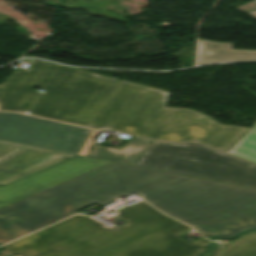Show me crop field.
<instances>
[{
    "label": "crop field",
    "instance_id": "7",
    "mask_svg": "<svg viewBox=\"0 0 256 256\" xmlns=\"http://www.w3.org/2000/svg\"><path fill=\"white\" fill-rule=\"evenodd\" d=\"M108 162L109 161L76 156L51 168L21 179L9 186L0 187V208Z\"/></svg>",
    "mask_w": 256,
    "mask_h": 256
},
{
    "label": "crop field",
    "instance_id": "12",
    "mask_svg": "<svg viewBox=\"0 0 256 256\" xmlns=\"http://www.w3.org/2000/svg\"><path fill=\"white\" fill-rule=\"evenodd\" d=\"M220 256H256V232L238 238Z\"/></svg>",
    "mask_w": 256,
    "mask_h": 256
},
{
    "label": "crop field",
    "instance_id": "10",
    "mask_svg": "<svg viewBox=\"0 0 256 256\" xmlns=\"http://www.w3.org/2000/svg\"><path fill=\"white\" fill-rule=\"evenodd\" d=\"M150 142L132 137L121 150L94 145L88 156L133 165Z\"/></svg>",
    "mask_w": 256,
    "mask_h": 256
},
{
    "label": "crop field",
    "instance_id": "5",
    "mask_svg": "<svg viewBox=\"0 0 256 256\" xmlns=\"http://www.w3.org/2000/svg\"><path fill=\"white\" fill-rule=\"evenodd\" d=\"M134 165L256 189V165L196 143L152 141Z\"/></svg>",
    "mask_w": 256,
    "mask_h": 256
},
{
    "label": "crop field",
    "instance_id": "11",
    "mask_svg": "<svg viewBox=\"0 0 256 256\" xmlns=\"http://www.w3.org/2000/svg\"><path fill=\"white\" fill-rule=\"evenodd\" d=\"M227 153L256 163V124L242 135Z\"/></svg>",
    "mask_w": 256,
    "mask_h": 256
},
{
    "label": "crop field",
    "instance_id": "15",
    "mask_svg": "<svg viewBox=\"0 0 256 256\" xmlns=\"http://www.w3.org/2000/svg\"><path fill=\"white\" fill-rule=\"evenodd\" d=\"M253 2H255V3H256V0H253ZM245 14H247V15H249V14H253V16H251V17H253V18H255V19H256V11H254V12H247V13H245Z\"/></svg>",
    "mask_w": 256,
    "mask_h": 256
},
{
    "label": "crop field",
    "instance_id": "13",
    "mask_svg": "<svg viewBox=\"0 0 256 256\" xmlns=\"http://www.w3.org/2000/svg\"><path fill=\"white\" fill-rule=\"evenodd\" d=\"M232 243L233 242L216 241L214 243V249L211 252L206 253L205 256H218Z\"/></svg>",
    "mask_w": 256,
    "mask_h": 256
},
{
    "label": "crop field",
    "instance_id": "9",
    "mask_svg": "<svg viewBox=\"0 0 256 256\" xmlns=\"http://www.w3.org/2000/svg\"><path fill=\"white\" fill-rule=\"evenodd\" d=\"M256 60V51L233 50L232 43L199 40L198 64Z\"/></svg>",
    "mask_w": 256,
    "mask_h": 256
},
{
    "label": "crop field",
    "instance_id": "6",
    "mask_svg": "<svg viewBox=\"0 0 256 256\" xmlns=\"http://www.w3.org/2000/svg\"><path fill=\"white\" fill-rule=\"evenodd\" d=\"M91 130L19 113H0V139L78 154Z\"/></svg>",
    "mask_w": 256,
    "mask_h": 256
},
{
    "label": "crop field",
    "instance_id": "1",
    "mask_svg": "<svg viewBox=\"0 0 256 256\" xmlns=\"http://www.w3.org/2000/svg\"><path fill=\"white\" fill-rule=\"evenodd\" d=\"M131 193L206 237L256 228L254 189L111 162L0 209V243Z\"/></svg>",
    "mask_w": 256,
    "mask_h": 256
},
{
    "label": "crop field",
    "instance_id": "4",
    "mask_svg": "<svg viewBox=\"0 0 256 256\" xmlns=\"http://www.w3.org/2000/svg\"><path fill=\"white\" fill-rule=\"evenodd\" d=\"M169 94L120 81L94 128L156 140L198 141L224 152L248 130L222 126L195 110L165 107Z\"/></svg>",
    "mask_w": 256,
    "mask_h": 256
},
{
    "label": "crop field",
    "instance_id": "8",
    "mask_svg": "<svg viewBox=\"0 0 256 256\" xmlns=\"http://www.w3.org/2000/svg\"><path fill=\"white\" fill-rule=\"evenodd\" d=\"M73 156L0 140V185L4 186Z\"/></svg>",
    "mask_w": 256,
    "mask_h": 256
},
{
    "label": "crop field",
    "instance_id": "3",
    "mask_svg": "<svg viewBox=\"0 0 256 256\" xmlns=\"http://www.w3.org/2000/svg\"><path fill=\"white\" fill-rule=\"evenodd\" d=\"M0 84V110L92 128L118 79L38 60ZM120 81V80H119ZM41 86L45 91L32 89Z\"/></svg>",
    "mask_w": 256,
    "mask_h": 256
},
{
    "label": "crop field",
    "instance_id": "14",
    "mask_svg": "<svg viewBox=\"0 0 256 256\" xmlns=\"http://www.w3.org/2000/svg\"><path fill=\"white\" fill-rule=\"evenodd\" d=\"M98 131L92 130L91 134L89 135L88 139L86 140L85 144L83 145L82 149L79 152V155L86 156L91 144L93 143L94 137Z\"/></svg>",
    "mask_w": 256,
    "mask_h": 256
},
{
    "label": "crop field",
    "instance_id": "2",
    "mask_svg": "<svg viewBox=\"0 0 256 256\" xmlns=\"http://www.w3.org/2000/svg\"><path fill=\"white\" fill-rule=\"evenodd\" d=\"M117 210L122 227L75 215L4 246L0 256H201L210 244H191L175 234L191 227L140 198Z\"/></svg>",
    "mask_w": 256,
    "mask_h": 256
}]
</instances>
